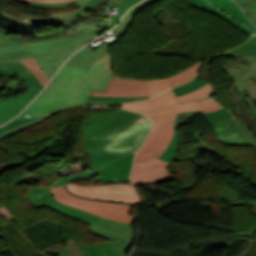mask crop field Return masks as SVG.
Returning a JSON list of instances; mask_svg holds the SVG:
<instances>
[{
  "label": "crop field",
  "mask_w": 256,
  "mask_h": 256,
  "mask_svg": "<svg viewBox=\"0 0 256 256\" xmlns=\"http://www.w3.org/2000/svg\"><path fill=\"white\" fill-rule=\"evenodd\" d=\"M148 1L151 2V3H154V2H156L158 0H148Z\"/></svg>",
  "instance_id": "obj_52"
},
{
  "label": "crop field",
  "mask_w": 256,
  "mask_h": 256,
  "mask_svg": "<svg viewBox=\"0 0 256 256\" xmlns=\"http://www.w3.org/2000/svg\"><path fill=\"white\" fill-rule=\"evenodd\" d=\"M111 63L109 52L88 69L66 64L24 112L38 120L60 110L86 106L91 90L105 91L114 76Z\"/></svg>",
  "instance_id": "obj_1"
},
{
  "label": "crop field",
  "mask_w": 256,
  "mask_h": 256,
  "mask_svg": "<svg viewBox=\"0 0 256 256\" xmlns=\"http://www.w3.org/2000/svg\"><path fill=\"white\" fill-rule=\"evenodd\" d=\"M237 2L242 8L243 6L247 5L249 10L246 11L249 18L256 26V0H234Z\"/></svg>",
  "instance_id": "obj_34"
},
{
  "label": "crop field",
  "mask_w": 256,
  "mask_h": 256,
  "mask_svg": "<svg viewBox=\"0 0 256 256\" xmlns=\"http://www.w3.org/2000/svg\"><path fill=\"white\" fill-rule=\"evenodd\" d=\"M202 62H198L196 64H194L193 66L189 67V69L180 72L172 77L168 78V81L171 85V87H175L178 85H181L183 83H186L190 80H192L196 74V72L198 71L200 65Z\"/></svg>",
  "instance_id": "obj_24"
},
{
  "label": "crop field",
  "mask_w": 256,
  "mask_h": 256,
  "mask_svg": "<svg viewBox=\"0 0 256 256\" xmlns=\"http://www.w3.org/2000/svg\"><path fill=\"white\" fill-rule=\"evenodd\" d=\"M145 98H149V97L127 98V97H95V96H90L89 100L135 101V100L145 99Z\"/></svg>",
  "instance_id": "obj_39"
},
{
  "label": "crop field",
  "mask_w": 256,
  "mask_h": 256,
  "mask_svg": "<svg viewBox=\"0 0 256 256\" xmlns=\"http://www.w3.org/2000/svg\"><path fill=\"white\" fill-rule=\"evenodd\" d=\"M87 154L92 158L93 163H94V167H93L92 171L60 179V180L54 182L51 186L65 185V184L72 182L76 179H82V178L90 179L92 177L97 176L102 171V169L104 167L103 158L100 156V154L97 152L96 149L92 150V151H88Z\"/></svg>",
  "instance_id": "obj_21"
},
{
  "label": "crop field",
  "mask_w": 256,
  "mask_h": 256,
  "mask_svg": "<svg viewBox=\"0 0 256 256\" xmlns=\"http://www.w3.org/2000/svg\"><path fill=\"white\" fill-rule=\"evenodd\" d=\"M183 112H200L194 103L164 109L140 111L149 116L154 125L144 145L135 155V163L150 161L161 155L173 137L178 115Z\"/></svg>",
  "instance_id": "obj_3"
},
{
  "label": "crop field",
  "mask_w": 256,
  "mask_h": 256,
  "mask_svg": "<svg viewBox=\"0 0 256 256\" xmlns=\"http://www.w3.org/2000/svg\"><path fill=\"white\" fill-rule=\"evenodd\" d=\"M0 75H2V76H10V77H18L21 80H23L25 84H30L32 86L41 87L39 81L31 73V71L29 69L11 70V71H0Z\"/></svg>",
  "instance_id": "obj_25"
},
{
  "label": "crop field",
  "mask_w": 256,
  "mask_h": 256,
  "mask_svg": "<svg viewBox=\"0 0 256 256\" xmlns=\"http://www.w3.org/2000/svg\"><path fill=\"white\" fill-rule=\"evenodd\" d=\"M208 1H210L212 4H214L216 7H218L220 10L224 11L225 13L235 17L236 19H238L240 22H242L244 25H246L256 33V29L250 23L248 18L233 2H231L230 0H208Z\"/></svg>",
  "instance_id": "obj_22"
},
{
  "label": "crop field",
  "mask_w": 256,
  "mask_h": 256,
  "mask_svg": "<svg viewBox=\"0 0 256 256\" xmlns=\"http://www.w3.org/2000/svg\"><path fill=\"white\" fill-rule=\"evenodd\" d=\"M188 1L192 4V6L198 8L200 10H207L211 13H215L216 15L221 16L226 21L230 22L236 28H239L241 31H244L245 33L250 31L247 28H245L243 25L238 23L235 19L231 18L227 14L222 13L220 10L214 8L213 6H211L209 3L205 2L204 0H188Z\"/></svg>",
  "instance_id": "obj_23"
},
{
  "label": "crop field",
  "mask_w": 256,
  "mask_h": 256,
  "mask_svg": "<svg viewBox=\"0 0 256 256\" xmlns=\"http://www.w3.org/2000/svg\"><path fill=\"white\" fill-rule=\"evenodd\" d=\"M104 158L105 168L96 180L128 181L134 153H106L97 149Z\"/></svg>",
  "instance_id": "obj_11"
},
{
  "label": "crop field",
  "mask_w": 256,
  "mask_h": 256,
  "mask_svg": "<svg viewBox=\"0 0 256 256\" xmlns=\"http://www.w3.org/2000/svg\"><path fill=\"white\" fill-rule=\"evenodd\" d=\"M213 89H214V87L212 86L211 82H209L207 85L203 86L199 90H197L189 95L179 97V100L181 103H184V102H193V101L205 99V98L210 97V95L213 92Z\"/></svg>",
  "instance_id": "obj_26"
},
{
  "label": "crop field",
  "mask_w": 256,
  "mask_h": 256,
  "mask_svg": "<svg viewBox=\"0 0 256 256\" xmlns=\"http://www.w3.org/2000/svg\"><path fill=\"white\" fill-rule=\"evenodd\" d=\"M27 68H29L32 73L38 78L44 87L45 84L49 81L47 77L44 75L43 71L36 65L33 59L21 60ZM47 85V84H46Z\"/></svg>",
  "instance_id": "obj_32"
},
{
  "label": "crop field",
  "mask_w": 256,
  "mask_h": 256,
  "mask_svg": "<svg viewBox=\"0 0 256 256\" xmlns=\"http://www.w3.org/2000/svg\"><path fill=\"white\" fill-rule=\"evenodd\" d=\"M54 198L69 206L80 208L94 215L132 224L137 217L129 215L130 208L134 205L94 201L78 198L69 193L65 186L51 188Z\"/></svg>",
  "instance_id": "obj_5"
},
{
  "label": "crop field",
  "mask_w": 256,
  "mask_h": 256,
  "mask_svg": "<svg viewBox=\"0 0 256 256\" xmlns=\"http://www.w3.org/2000/svg\"><path fill=\"white\" fill-rule=\"evenodd\" d=\"M41 90L33 87L27 94L0 103V125L15 117Z\"/></svg>",
  "instance_id": "obj_16"
},
{
  "label": "crop field",
  "mask_w": 256,
  "mask_h": 256,
  "mask_svg": "<svg viewBox=\"0 0 256 256\" xmlns=\"http://www.w3.org/2000/svg\"><path fill=\"white\" fill-rule=\"evenodd\" d=\"M31 121H34V119L23 112L17 119H15L11 123L1 127L0 128V133H2L4 131H7L9 129H12V128L18 126V125H21V124H24V123H27V122H31Z\"/></svg>",
  "instance_id": "obj_35"
},
{
  "label": "crop field",
  "mask_w": 256,
  "mask_h": 256,
  "mask_svg": "<svg viewBox=\"0 0 256 256\" xmlns=\"http://www.w3.org/2000/svg\"><path fill=\"white\" fill-rule=\"evenodd\" d=\"M206 83L207 82L204 80H199V79L194 78L192 82L185 84L181 87L174 88V91H175L177 97H179V96L186 95V94L200 88L201 86H203Z\"/></svg>",
  "instance_id": "obj_31"
},
{
  "label": "crop field",
  "mask_w": 256,
  "mask_h": 256,
  "mask_svg": "<svg viewBox=\"0 0 256 256\" xmlns=\"http://www.w3.org/2000/svg\"><path fill=\"white\" fill-rule=\"evenodd\" d=\"M2 83L6 84L8 86L6 87V89L4 91L0 92V102L15 98L16 96H13V95L12 96H8V98H4V97L7 96L10 92L15 91V88L17 87L16 82H10V83L7 84V83H4L2 81ZM31 88H32V86L29 85L27 91L23 92V94L27 93ZM23 94H21V95H23Z\"/></svg>",
  "instance_id": "obj_37"
},
{
  "label": "crop field",
  "mask_w": 256,
  "mask_h": 256,
  "mask_svg": "<svg viewBox=\"0 0 256 256\" xmlns=\"http://www.w3.org/2000/svg\"><path fill=\"white\" fill-rule=\"evenodd\" d=\"M150 3L148 1H143L139 4H137L135 7H133L122 19V21L118 24L116 28H114L112 31L115 32L116 30L121 31V32H126L125 30L128 28L130 23L133 21V16L134 14L139 11L140 9H144L146 5H149Z\"/></svg>",
  "instance_id": "obj_27"
},
{
  "label": "crop field",
  "mask_w": 256,
  "mask_h": 256,
  "mask_svg": "<svg viewBox=\"0 0 256 256\" xmlns=\"http://www.w3.org/2000/svg\"><path fill=\"white\" fill-rule=\"evenodd\" d=\"M202 115L210 124L221 123L224 120L232 117V114L224 108L212 113H202Z\"/></svg>",
  "instance_id": "obj_29"
},
{
  "label": "crop field",
  "mask_w": 256,
  "mask_h": 256,
  "mask_svg": "<svg viewBox=\"0 0 256 256\" xmlns=\"http://www.w3.org/2000/svg\"><path fill=\"white\" fill-rule=\"evenodd\" d=\"M20 68H26L21 61L0 64V70H10V69H20Z\"/></svg>",
  "instance_id": "obj_41"
},
{
  "label": "crop field",
  "mask_w": 256,
  "mask_h": 256,
  "mask_svg": "<svg viewBox=\"0 0 256 256\" xmlns=\"http://www.w3.org/2000/svg\"><path fill=\"white\" fill-rule=\"evenodd\" d=\"M111 103H123V102H110V101H88V105H97V104H111Z\"/></svg>",
  "instance_id": "obj_46"
},
{
  "label": "crop field",
  "mask_w": 256,
  "mask_h": 256,
  "mask_svg": "<svg viewBox=\"0 0 256 256\" xmlns=\"http://www.w3.org/2000/svg\"><path fill=\"white\" fill-rule=\"evenodd\" d=\"M0 32H6V31H4L3 29L0 28Z\"/></svg>",
  "instance_id": "obj_53"
},
{
  "label": "crop field",
  "mask_w": 256,
  "mask_h": 256,
  "mask_svg": "<svg viewBox=\"0 0 256 256\" xmlns=\"http://www.w3.org/2000/svg\"><path fill=\"white\" fill-rule=\"evenodd\" d=\"M222 55L248 56L253 63L249 66L238 64V66L241 67L240 69H229L226 68L224 64L221 65V67L224 69L227 75L232 74L235 76L236 79L233 81L235 88L256 82V36L251 37L245 44L228 52L222 53Z\"/></svg>",
  "instance_id": "obj_8"
},
{
  "label": "crop field",
  "mask_w": 256,
  "mask_h": 256,
  "mask_svg": "<svg viewBox=\"0 0 256 256\" xmlns=\"http://www.w3.org/2000/svg\"><path fill=\"white\" fill-rule=\"evenodd\" d=\"M101 1H103V0H75L72 2L62 3V4H39V3L32 2L31 5L36 6V7H42V8H50V9H58V8L68 7V5L72 4V3H76L80 6V8H78V9H74V10H70V11H66V12H62V13H54V14H52V16L50 18L45 19V21H47V20H52V19L61 18V17H68L74 13L85 14V11L92 10L93 7Z\"/></svg>",
  "instance_id": "obj_19"
},
{
  "label": "crop field",
  "mask_w": 256,
  "mask_h": 256,
  "mask_svg": "<svg viewBox=\"0 0 256 256\" xmlns=\"http://www.w3.org/2000/svg\"><path fill=\"white\" fill-rule=\"evenodd\" d=\"M212 127L215 130L218 141L222 143L236 146L250 145L229 119L221 124H214ZM251 146L256 150V143Z\"/></svg>",
  "instance_id": "obj_17"
},
{
  "label": "crop field",
  "mask_w": 256,
  "mask_h": 256,
  "mask_svg": "<svg viewBox=\"0 0 256 256\" xmlns=\"http://www.w3.org/2000/svg\"><path fill=\"white\" fill-rule=\"evenodd\" d=\"M112 2H117V3H120L121 1L123 0H111Z\"/></svg>",
  "instance_id": "obj_51"
},
{
  "label": "crop field",
  "mask_w": 256,
  "mask_h": 256,
  "mask_svg": "<svg viewBox=\"0 0 256 256\" xmlns=\"http://www.w3.org/2000/svg\"><path fill=\"white\" fill-rule=\"evenodd\" d=\"M109 52L107 44H99L93 49L83 48L74 55L67 63L88 68L99 57Z\"/></svg>",
  "instance_id": "obj_20"
},
{
  "label": "crop field",
  "mask_w": 256,
  "mask_h": 256,
  "mask_svg": "<svg viewBox=\"0 0 256 256\" xmlns=\"http://www.w3.org/2000/svg\"><path fill=\"white\" fill-rule=\"evenodd\" d=\"M49 117H51V116H49ZM49 117H47V118H49ZM47 118H45V119H47ZM45 119H42V120H39V121H35V122H32V123L26 124V125H24V126L15 128V129H13V130H11V131H9V132H6V133H4V134H1V135H0V140L3 139V138H6V137H8V136H11V135H13V134H15V133H17V132H19V131H22V130L28 128V127H31V126H33V125H35V124H37V123H40V122L44 121Z\"/></svg>",
  "instance_id": "obj_40"
},
{
  "label": "crop field",
  "mask_w": 256,
  "mask_h": 256,
  "mask_svg": "<svg viewBox=\"0 0 256 256\" xmlns=\"http://www.w3.org/2000/svg\"><path fill=\"white\" fill-rule=\"evenodd\" d=\"M232 123L237 127V129L241 132V134L245 137V139L250 143H255L256 138L254 135L247 129L246 125L239 121L236 117L230 118Z\"/></svg>",
  "instance_id": "obj_33"
},
{
  "label": "crop field",
  "mask_w": 256,
  "mask_h": 256,
  "mask_svg": "<svg viewBox=\"0 0 256 256\" xmlns=\"http://www.w3.org/2000/svg\"><path fill=\"white\" fill-rule=\"evenodd\" d=\"M178 103L180 102L177 99L173 89H171L170 91H167L162 95L150 100L122 104V108L139 111L174 105Z\"/></svg>",
  "instance_id": "obj_18"
},
{
  "label": "crop field",
  "mask_w": 256,
  "mask_h": 256,
  "mask_svg": "<svg viewBox=\"0 0 256 256\" xmlns=\"http://www.w3.org/2000/svg\"><path fill=\"white\" fill-rule=\"evenodd\" d=\"M235 90H236V92H237V96H238V97H242L243 101H245V102L247 103V105H248L249 108H250L251 113L254 114V118L256 119V108H254V105L249 104V103L246 101V99L243 98V97L245 96V95L242 93V92H243V89L239 88V89H235Z\"/></svg>",
  "instance_id": "obj_43"
},
{
  "label": "crop field",
  "mask_w": 256,
  "mask_h": 256,
  "mask_svg": "<svg viewBox=\"0 0 256 256\" xmlns=\"http://www.w3.org/2000/svg\"><path fill=\"white\" fill-rule=\"evenodd\" d=\"M18 1H21V2H24V3H27L30 5V3L33 1V0H18Z\"/></svg>",
  "instance_id": "obj_50"
},
{
  "label": "crop field",
  "mask_w": 256,
  "mask_h": 256,
  "mask_svg": "<svg viewBox=\"0 0 256 256\" xmlns=\"http://www.w3.org/2000/svg\"><path fill=\"white\" fill-rule=\"evenodd\" d=\"M139 116L125 110L91 113L90 118L82 124V151L102 147Z\"/></svg>",
  "instance_id": "obj_4"
},
{
  "label": "crop field",
  "mask_w": 256,
  "mask_h": 256,
  "mask_svg": "<svg viewBox=\"0 0 256 256\" xmlns=\"http://www.w3.org/2000/svg\"><path fill=\"white\" fill-rule=\"evenodd\" d=\"M2 16V15H1ZM5 17V16H4ZM8 18V17H6ZM10 19V18H8ZM103 18H97L93 16H87L82 14H74L68 18H61L53 21L41 22V23H34V24H23L28 27H37L42 26L44 24L50 23H57L56 25H68V29L63 32L58 33H49L45 35H36V36H20L24 43L35 42L38 40L48 39V38H56L61 36H67L76 34L80 31L88 29L90 26L94 25L98 21L102 20ZM12 20V19H10ZM14 21V20H13ZM16 22V21H15ZM19 23V22H17ZM22 24V23H19Z\"/></svg>",
  "instance_id": "obj_9"
},
{
  "label": "crop field",
  "mask_w": 256,
  "mask_h": 256,
  "mask_svg": "<svg viewBox=\"0 0 256 256\" xmlns=\"http://www.w3.org/2000/svg\"><path fill=\"white\" fill-rule=\"evenodd\" d=\"M1 225V224H0Z\"/></svg>",
  "instance_id": "obj_54"
},
{
  "label": "crop field",
  "mask_w": 256,
  "mask_h": 256,
  "mask_svg": "<svg viewBox=\"0 0 256 256\" xmlns=\"http://www.w3.org/2000/svg\"><path fill=\"white\" fill-rule=\"evenodd\" d=\"M95 96H149L145 80L120 79L113 77L106 92L92 91Z\"/></svg>",
  "instance_id": "obj_14"
},
{
  "label": "crop field",
  "mask_w": 256,
  "mask_h": 256,
  "mask_svg": "<svg viewBox=\"0 0 256 256\" xmlns=\"http://www.w3.org/2000/svg\"><path fill=\"white\" fill-rule=\"evenodd\" d=\"M83 256H125L131 246L116 241H108L94 245L76 244Z\"/></svg>",
  "instance_id": "obj_15"
},
{
  "label": "crop field",
  "mask_w": 256,
  "mask_h": 256,
  "mask_svg": "<svg viewBox=\"0 0 256 256\" xmlns=\"http://www.w3.org/2000/svg\"><path fill=\"white\" fill-rule=\"evenodd\" d=\"M194 103L197 105V107L200 109L201 112H211V111H215L217 109L222 108L220 105H218L216 102H214L210 98L206 100L194 102Z\"/></svg>",
  "instance_id": "obj_36"
},
{
  "label": "crop field",
  "mask_w": 256,
  "mask_h": 256,
  "mask_svg": "<svg viewBox=\"0 0 256 256\" xmlns=\"http://www.w3.org/2000/svg\"><path fill=\"white\" fill-rule=\"evenodd\" d=\"M140 0H133L130 4H128L127 6H126V8L123 10V12L121 13V15H123L124 14V12L128 9V8H130L131 6H133L134 4H136L137 2H139Z\"/></svg>",
  "instance_id": "obj_48"
},
{
  "label": "crop field",
  "mask_w": 256,
  "mask_h": 256,
  "mask_svg": "<svg viewBox=\"0 0 256 256\" xmlns=\"http://www.w3.org/2000/svg\"><path fill=\"white\" fill-rule=\"evenodd\" d=\"M72 194L94 200L111 201L127 204H140V198L132 185L106 184L79 186L73 183L66 185Z\"/></svg>",
  "instance_id": "obj_6"
},
{
  "label": "crop field",
  "mask_w": 256,
  "mask_h": 256,
  "mask_svg": "<svg viewBox=\"0 0 256 256\" xmlns=\"http://www.w3.org/2000/svg\"><path fill=\"white\" fill-rule=\"evenodd\" d=\"M170 163L155 159L148 163L134 164L133 171L130 176L132 184H160L172 179H175L170 175L166 169V166Z\"/></svg>",
  "instance_id": "obj_12"
},
{
  "label": "crop field",
  "mask_w": 256,
  "mask_h": 256,
  "mask_svg": "<svg viewBox=\"0 0 256 256\" xmlns=\"http://www.w3.org/2000/svg\"><path fill=\"white\" fill-rule=\"evenodd\" d=\"M178 143H179V135H178V132L175 131L174 137L170 145L168 146L166 151L158 158L172 163L177 153Z\"/></svg>",
  "instance_id": "obj_30"
},
{
  "label": "crop field",
  "mask_w": 256,
  "mask_h": 256,
  "mask_svg": "<svg viewBox=\"0 0 256 256\" xmlns=\"http://www.w3.org/2000/svg\"><path fill=\"white\" fill-rule=\"evenodd\" d=\"M146 83L149 89L150 98L171 88L167 78L146 80Z\"/></svg>",
  "instance_id": "obj_28"
},
{
  "label": "crop field",
  "mask_w": 256,
  "mask_h": 256,
  "mask_svg": "<svg viewBox=\"0 0 256 256\" xmlns=\"http://www.w3.org/2000/svg\"><path fill=\"white\" fill-rule=\"evenodd\" d=\"M38 194H41V196H38ZM28 197L29 201L35 208L49 206L62 214H65L74 219H80L88 223L89 225H91L93 221L97 218V216H94L90 213L57 202L52 197L49 187L33 186L31 189H29Z\"/></svg>",
  "instance_id": "obj_10"
},
{
  "label": "crop field",
  "mask_w": 256,
  "mask_h": 256,
  "mask_svg": "<svg viewBox=\"0 0 256 256\" xmlns=\"http://www.w3.org/2000/svg\"><path fill=\"white\" fill-rule=\"evenodd\" d=\"M88 230L95 235L132 244L134 233L132 225L98 217Z\"/></svg>",
  "instance_id": "obj_13"
},
{
  "label": "crop field",
  "mask_w": 256,
  "mask_h": 256,
  "mask_svg": "<svg viewBox=\"0 0 256 256\" xmlns=\"http://www.w3.org/2000/svg\"><path fill=\"white\" fill-rule=\"evenodd\" d=\"M59 256H81V255L77 247L71 241H67V245L59 253Z\"/></svg>",
  "instance_id": "obj_38"
},
{
  "label": "crop field",
  "mask_w": 256,
  "mask_h": 256,
  "mask_svg": "<svg viewBox=\"0 0 256 256\" xmlns=\"http://www.w3.org/2000/svg\"><path fill=\"white\" fill-rule=\"evenodd\" d=\"M242 88H245L246 90L249 91V94H250V96H251V98L253 100L256 99V83L255 84H251L249 86H244Z\"/></svg>",
  "instance_id": "obj_44"
},
{
  "label": "crop field",
  "mask_w": 256,
  "mask_h": 256,
  "mask_svg": "<svg viewBox=\"0 0 256 256\" xmlns=\"http://www.w3.org/2000/svg\"><path fill=\"white\" fill-rule=\"evenodd\" d=\"M44 19L42 18H27V17H23L20 22H23V23H33V22H41L43 21Z\"/></svg>",
  "instance_id": "obj_45"
},
{
  "label": "crop field",
  "mask_w": 256,
  "mask_h": 256,
  "mask_svg": "<svg viewBox=\"0 0 256 256\" xmlns=\"http://www.w3.org/2000/svg\"><path fill=\"white\" fill-rule=\"evenodd\" d=\"M0 13L3 14V15H6V16H8V17H11V18H13V19H15V20H17V21L20 20V19H18V18H16V17L12 16L11 14H9V13L3 11V10H0Z\"/></svg>",
  "instance_id": "obj_49"
},
{
  "label": "crop field",
  "mask_w": 256,
  "mask_h": 256,
  "mask_svg": "<svg viewBox=\"0 0 256 256\" xmlns=\"http://www.w3.org/2000/svg\"><path fill=\"white\" fill-rule=\"evenodd\" d=\"M196 141H200L207 151H210V152L218 155L221 158L224 157V154H220L218 151H215V150L211 149L210 147H208L205 140L203 139V137L198 132H196Z\"/></svg>",
  "instance_id": "obj_42"
},
{
  "label": "crop field",
  "mask_w": 256,
  "mask_h": 256,
  "mask_svg": "<svg viewBox=\"0 0 256 256\" xmlns=\"http://www.w3.org/2000/svg\"><path fill=\"white\" fill-rule=\"evenodd\" d=\"M108 23L109 19H104L77 35L29 44H23L19 37L10 33H0V63L31 57L50 79L70 55L90 42Z\"/></svg>",
  "instance_id": "obj_2"
},
{
  "label": "crop field",
  "mask_w": 256,
  "mask_h": 256,
  "mask_svg": "<svg viewBox=\"0 0 256 256\" xmlns=\"http://www.w3.org/2000/svg\"><path fill=\"white\" fill-rule=\"evenodd\" d=\"M151 125V120L142 115L103 147L107 152H130L137 150L144 141Z\"/></svg>",
  "instance_id": "obj_7"
},
{
  "label": "crop field",
  "mask_w": 256,
  "mask_h": 256,
  "mask_svg": "<svg viewBox=\"0 0 256 256\" xmlns=\"http://www.w3.org/2000/svg\"><path fill=\"white\" fill-rule=\"evenodd\" d=\"M35 2H40V3H62V2H67L71 0H34Z\"/></svg>",
  "instance_id": "obj_47"
}]
</instances>
